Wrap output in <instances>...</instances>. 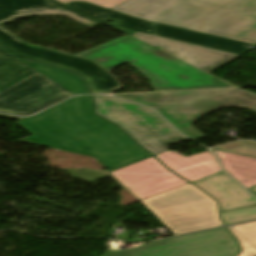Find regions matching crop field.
I'll use <instances>...</instances> for the list:
<instances>
[{
	"label": "crop field",
	"instance_id": "crop-field-11",
	"mask_svg": "<svg viewBox=\"0 0 256 256\" xmlns=\"http://www.w3.org/2000/svg\"><path fill=\"white\" fill-rule=\"evenodd\" d=\"M132 37L143 41L163 45L188 54L178 58L204 72H209L224 63L238 57V55L213 50L197 45L159 38L153 35L135 32Z\"/></svg>",
	"mask_w": 256,
	"mask_h": 256
},
{
	"label": "crop field",
	"instance_id": "crop-field-9",
	"mask_svg": "<svg viewBox=\"0 0 256 256\" xmlns=\"http://www.w3.org/2000/svg\"><path fill=\"white\" fill-rule=\"evenodd\" d=\"M73 96L41 73L0 93V112L28 116Z\"/></svg>",
	"mask_w": 256,
	"mask_h": 256
},
{
	"label": "crop field",
	"instance_id": "crop-field-6",
	"mask_svg": "<svg viewBox=\"0 0 256 256\" xmlns=\"http://www.w3.org/2000/svg\"><path fill=\"white\" fill-rule=\"evenodd\" d=\"M139 202L175 234L222 225L217 203L190 183Z\"/></svg>",
	"mask_w": 256,
	"mask_h": 256
},
{
	"label": "crop field",
	"instance_id": "crop-field-24",
	"mask_svg": "<svg viewBox=\"0 0 256 256\" xmlns=\"http://www.w3.org/2000/svg\"><path fill=\"white\" fill-rule=\"evenodd\" d=\"M0 117H6V118H12V119H18V120L23 119V118H19V117H13V116L1 115V114H0Z\"/></svg>",
	"mask_w": 256,
	"mask_h": 256
},
{
	"label": "crop field",
	"instance_id": "crop-field-13",
	"mask_svg": "<svg viewBox=\"0 0 256 256\" xmlns=\"http://www.w3.org/2000/svg\"><path fill=\"white\" fill-rule=\"evenodd\" d=\"M156 157L166 167L190 182L221 172L213 154L209 151L188 158L173 151H167Z\"/></svg>",
	"mask_w": 256,
	"mask_h": 256
},
{
	"label": "crop field",
	"instance_id": "crop-field-18",
	"mask_svg": "<svg viewBox=\"0 0 256 256\" xmlns=\"http://www.w3.org/2000/svg\"><path fill=\"white\" fill-rule=\"evenodd\" d=\"M28 65L32 66L51 80L55 81L74 95L76 94H89L88 90L85 88L83 85L82 81L80 78L77 76L61 71L58 69L50 68L47 66H43L40 64L32 63L29 61L22 60Z\"/></svg>",
	"mask_w": 256,
	"mask_h": 256
},
{
	"label": "crop field",
	"instance_id": "crop-field-19",
	"mask_svg": "<svg viewBox=\"0 0 256 256\" xmlns=\"http://www.w3.org/2000/svg\"><path fill=\"white\" fill-rule=\"evenodd\" d=\"M239 242L237 256H256V221L227 227Z\"/></svg>",
	"mask_w": 256,
	"mask_h": 256
},
{
	"label": "crop field",
	"instance_id": "crop-field-12",
	"mask_svg": "<svg viewBox=\"0 0 256 256\" xmlns=\"http://www.w3.org/2000/svg\"><path fill=\"white\" fill-rule=\"evenodd\" d=\"M219 202L220 212L256 204V199L221 172L192 182Z\"/></svg>",
	"mask_w": 256,
	"mask_h": 256
},
{
	"label": "crop field",
	"instance_id": "crop-field-3",
	"mask_svg": "<svg viewBox=\"0 0 256 256\" xmlns=\"http://www.w3.org/2000/svg\"><path fill=\"white\" fill-rule=\"evenodd\" d=\"M37 15H65L89 28L99 23L54 0H0V25ZM0 47L18 57L69 71L81 77L92 93L109 94L121 86L94 61L27 44L1 26Z\"/></svg>",
	"mask_w": 256,
	"mask_h": 256
},
{
	"label": "crop field",
	"instance_id": "crop-field-16",
	"mask_svg": "<svg viewBox=\"0 0 256 256\" xmlns=\"http://www.w3.org/2000/svg\"><path fill=\"white\" fill-rule=\"evenodd\" d=\"M222 167L246 189L256 185V158L212 149Z\"/></svg>",
	"mask_w": 256,
	"mask_h": 256
},
{
	"label": "crop field",
	"instance_id": "crop-field-8",
	"mask_svg": "<svg viewBox=\"0 0 256 256\" xmlns=\"http://www.w3.org/2000/svg\"><path fill=\"white\" fill-rule=\"evenodd\" d=\"M239 246L225 228L141 244L132 250H108L103 256H235Z\"/></svg>",
	"mask_w": 256,
	"mask_h": 256
},
{
	"label": "crop field",
	"instance_id": "crop-field-25",
	"mask_svg": "<svg viewBox=\"0 0 256 256\" xmlns=\"http://www.w3.org/2000/svg\"><path fill=\"white\" fill-rule=\"evenodd\" d=\"M248 190H253V191H255L256 192V186H253V187H251L250 189H248Z\"/></svg>",
	"mask_w": 256,
	"mask_h": 256
},
{
	"label": "crop field",
	"instance_id": "crop-field-10",
	"mask_svg": "<svg viewBox=\"0 0 256 256\" xmlns=\"http://www.w3.org/2000/svg\"><path fill=\"white\" fill-rule=\"evenodd\" d=\"M138 201L188 183L166 169L154 156L111 173Z\"/></svg>",
	"mask_w": 256,
	"mask_h": 256
},
{
	"label": "crop field",
	"instance_id": "crop-field-22",
	"mask_svg": "<svg viewBox=\"0 0 256 256\" xmlns=\"http://www.w3.org/2000/svg\"><path fill=\"white\" fill-rule=\"evenodd\" d=\"M62 4H67V3H70L72 1H85V2H88L90 4H94V5H97V6H101V7H104V8H112L126 0H56Z\"/></svg>",
	"mask_w": 256,
	"mask_h": 256
},
{
	"label": "crop field",
	"instance_id": "crop-field-4",
	"mask_svg": "<svg viewBox=\"0 0 256 256\" xmlns=\"http://www.w3.org/2000/svg\"><path fill=\"white\" fill-rule=\"evenodd\" d=\"M76 55L95 60L110 72L128 62L150 80L155 91L232 87L127 36Z\"/></svg>",
	"mask_w": 256,
	"mask_h": 256
},
{
	"label": "crop field",
	"instance_id": "crop-field-21",
	"mask_svg": "<svg viewBox=\"0 0 256 256\" xmlns=\"http://www.w3.org/2000/svg\"><path fill=\"white\" fill-rule=\"evenodd\" d=\"M216 148L256 157V142L238 141Z\"/></svg>",
	"mask_w": 256,
	"mask_h": 256
},
{
	"label": "crop field",
	"instance_id": "crop-field-1",
	"mask_svg": "<svg viewBox=\"0 0 256 256\" xmlns=\"http://www.w3.org/2000/svg\"><path fill=\"white\" fill-rule=\"evenodd\" d=\"M17 124L32 134L17 142L89 155L110 171L153 156L95 114L92 96L66 100Z\"/></svg>",
	"mask_w": 256,
	"mask_h": 256
},
{
	"label": "crop field",
	"instance_id": "crop-field-17",
	"mask_svg": "<svg viewBox=\"0 0 256 256\" xmlns=\"http://www.w3.org/2000/svg\"><path fill=\"white\" fill-rule=\"evenodd\" d=\"M36 72L38 71L0 49V92Z\"/></svg>",
	"mask_w": 256,
	"mask_h": 256
},
{
	"label": "crop field",
	"instance_id": "crop-field-5",
	"mask_svg": "<svg viewBox=\"0 0 256 256\" xmlns=\"http://www.w3.org/2000/svg\"><path fill=\"white\" fill-rule=\"evenodd\" d=\"M149 105L162 114L181 134L195 140L204 135L190 124L219 107L241 106L256 112V94L239 89L117 95Z\"/></svg>",
	"mask_w": 256,
	"mask_h": 256
},
{
	"label": "crop field",
	"instance_id": "crop-field-2",
	"mask_svg": "<svg viewBox=\"0 0 256 256\" xmlns=\"http://www.w3.org/2000/svg\"><path fill=\"white\" fill-rule=\"evenodd\" d=\"M111 10L256 45V0H129Z\"/></svg>",
	"mask_w": 256,
	"mask_h": 256
},
{
	"label": "crop field",
	"instance_id": "crop-field-7",
	"mask_svg": "<svg viewBox=\"0 0 256 256\" xmlns=\"http://www.w3.org/2000/svg\"><path fill=\"white\" fill-rule=\"evenodd\" d=\"M94 98L98 114L115 122L154 155L167 151V144L186 139L149 108L107 95Z\"/></svg>",
	"mask_w": 256,
	"mask_h": 256
},
{
	"label": "crop field",
	"instance_id": "crop-field-20",
	"mask_svg": "<svg viewBox=\"0 0 256 256\" xmlns=\"http://www.w3.org/2000/svg\"><path fill=\"white\" fill-rule=\"evenodd\" d=\"M220 214L224 225L247 221L251 219H256V206L222 212Z\"/></svg>",
	"mask_w": 256,
	"mask_h": 256
},
{
	"label": "crop field",
	"instance_id": "crop-field-23",
	"mask_svg": "<svg viewBox=\"0 0 256 256\" xmlns=\"http://www.w3.org/2000/svg\"><path fill=\"white\" fill-rule=\"evenodd\" d=\"M144 43L149 44L151 46H154L155 48H157V49H159V50H161L163 52H167V53H169V54H171V55H173V56H175L177 58L182 56V55H184V54H186V53H183V52H179V51H176V50H173V49H169V48H166V47H162V46H158V45H155V44H151V43H147V42H144Z\"/></svg>",
	"mask_w": 256,
	"mask_h": 256
},
{
	"label": "crop field",
	"instance_id": "crop-field-15",
	"mask_svg": "<svg viewBox=\"0 0 256 256\" xmlns=\"http://www.w3.org/2000/svg\"><path fill=\"white\" fill-rule=\"evenodd\" d=\"M155 24V28L157 31V34L160 36L181 40L193 44H198L202 46L212 47L216 49H221L225 51L235 52L242 54L246 52L247 50L251 49L247 47L249 44L207 35L203 33L183 30L179 28L164 26L160 24Z\"/></svg>",
	"mask_w": 256,
	"mask_h": 256
},
{
	"label": "crop field",
	"instance_id": "crop-field-14",
	"mask_svg": "<svg viewBox=\"0 0 256 256\" xmlns=\"http://www.w3.org/2000/svg\"><path fill=\"white\" fill-rule=\"evenodd\" d=\"M67 6L125 34L131 36L135 31L155 35L152 24L134 17L114 12L85 2H72ZM111 20L112 24L105 23Z\"/></svg>",
	"mask_w": 256,
	"mask_h": 256
},
{
	"label": "crop field",
	"instance_id": "crop-field-26",
	"mask_svg": "<svg viewBox=\"0 0 256 256\" xmlns=\"http://www.w3.org/2000/svg\"><path fill=\"white\" fill-rule=\"evenodd\" d=\"M252 192V191H251ZM252 193H254L255 195H256V193L255 192H252Z\"/></svg>",
	"mask_w": 256,
	"mask_h": 256
}]
</instances>
